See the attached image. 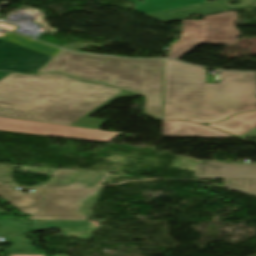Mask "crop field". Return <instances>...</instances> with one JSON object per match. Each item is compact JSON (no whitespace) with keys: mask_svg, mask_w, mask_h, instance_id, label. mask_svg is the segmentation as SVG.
I'll return each instance as SVG.
<instances>
[{"mask_svg":"<svg viewBox=\"0 0 256 256\" xmlns=\"http://www.w3.org/2000/svg\"><path fill=\"white\" fill-rule=\"evenodd\" d=\"M256 110V73L221 72L206 84V69L167 60L165 118L211 123Z\"/></svg>","mask_w":256,"mask_h":256,"instance_id":"crop-field-2","label":"crop field"},{"mask_svg":"<svg viewBox=\"0 0 256 256\" xmlns=\"http://www.w3.org/2000/svg\"><path fill=\"white\" fill-rule=\"evenodd\" d=\"M207 125L225 130L241 138H256V112L236 115L226 121Z\"/></svg>","mask_w":256,"mask_h":256,"instance_id":"crop-field-12","label":"crop field"},{"mask_svg":"<svg viewBox=\"0 0 256 256\" xmlns=\"http://www.w3.org/2000/svg\"><path fill=\"white\" fill-rule=\"evenodd\" d=\"M60 49L8 32L0 38V70L37 72Z\"/></svg>","mask_w":256,"mask_h":256,"instance_id":"crop-field-6","label":"crop field"},{"mask_svg":"<svg viewBox=\"0 0 256 256\" xmlns=\"http://www.w3.org/2000/svg\"><path fill=\"white\" fill-rule=\"evenodd\" d=\"M10 256H43V255H23V254H9Z\"/></svg>","mask_w":256,"mask_h":256,"instance_id":"crop-field-18","label":"crop field"},{"mask_svg":"<svg viewBox=\"0 0 256 256\" xmlns=\"http://www.w3.org/2000/svg\"><path fill=\"white\" fill-rule=\"evenodd\" d=\"M8 74L10 73H7V72H0V80L4 77H6Z\"/></svg>","mask_w":256,"mask_h":256,"instance_id":"crop-field-19","label":"crop field"},{"mask_svg":"<svg viewBox=\"0 0 256 256\" xmlns=\"http://www.w3.org/2000/svg\"><path fill=\"white\" fill-rule=\"evenodd\" d=\"M236 13H224L204 17V20H187L182 23V36L171 46L170 58L178 59L199 44L234 45L241 35L233 21Z\"/></svg>","mask_w":256,"mask_h":256,"instance_id":"crop-field-5","label":"crop field"},{"mask_svg":"<svg viewBox=\"0 0 256 256\" xmlns=\"http://www.w3.org/2000/svg\"><path fill=\"white\" fill-rule=\"evenodd\" d=\"M136 96L62 74L11 73L0 81V116L99 129L89 116L117 98Z\"/></svg>","mask_w":256,"mask_h":256,"instance_id":"crop-field-1","label":"crop field"},{"mask_svg":"<svg viewBox=\"0 0 256 256\" xmlns=\"http://www.w3.org/2000/svg\"><path fill=\"white\" fill-rule=\"evenodd\" d=\"M32 232L44 229H61L64 235L73 237H90L92 232L97 230V225L89 221L74 220H30ZM90 227H93L91 229Z\"/></svg>","mask_w":256,"mask_h":256,"instance_id":"crop-field-11","label":"crop field"},{"mask_svg":"<svg viewBox=\"0 0 256 256\" xmlns=\"http://www.w3.org/2000/svg\"><path fill=\"white\" fill-rule=\"evenodd\" d=\"M4 239L7 241L0 242V244L11 242L13 245L9 249L0 248V250H4L7 253L37 254L35 248L31 247L32 242L27 240L25 233L6 237Z\"/></svg>","mask_w":256,"mask_h":256,"instance_id":"crop-field-14","label":"crop field"},{"mask_svg":"<svg viewBox=\"0 0 256 256\" xmlns=\"http://www.w3.org/2000/svg\"><path fill=\"white\" fill-rule=\"evenodd\" d=\"M162 137L237 138L190 121L163 120Z\"/></svg>","mask_w":256,"mask_h":256,"instance_id":"crop-field-10","label":"crop field"},{"mask_svg":"<svg viewBox=\"0 0 256 256\" xmlns=\"http://www.w3.org/2000/svg\"><path fill=\"white\" fill-rule=\"evenodd\" d=\"M56 256H68V255H56Z\"/></svg>","mask_w":256,"mask_h":256,"instance_id":"crop-field-21","label":"crop field"},{"mask_svg":"<svg viewBox=\"0 0 256 256\" xmlns=\"http://www.w3.org/2000/svg\"><path fill=\"white\" fill-rule=\"evenodd\" d=\"M163 59L130 60L63 51L40 73L62 72L147 96L146 114L161 118Z\"/></svg>","mask_w":256,"mask_h":256,"instance_id":"crop-field-3","label":"crop field"},{"mask_svg":"<svg viewBox=\"0 0 256 256\" xmlns=\"http://www.w3.org/2000/svg\"><path fill=\"white\" fill-rule=\"evenodd\" d=\"M128 1L136 4L134 7L135 10L141 13H150L207 2L206 0H143L145 3L137 0Z\"/></svg>","mask_w":256,"mask_h":256,"instance_id":"crop-field-13","label":"crop field"},{"mask_svg":"<svg viewBox=\"0 0 256 256\" xmlns=\"http://www.w3.org/2000/svg\"><path fill=\"white\" fill-rule=\"evenodd\" d=\"M105 175H107V174L75 171L74 173H72L69 177H67L62 182H65V183H71V182L86 183V184H88L87 186L92 187L99 180H101Z\"/></svg>","mask_w":256,"mask_h":256,"instance_id":"crop-field-15","label":"crop field"},{"mask_svg":"<svg viewBox=\"0 0 256 256\" xmlns=\"http://www.w3.org/2000/svg\"><path fill=\"white\" fill-rule=\"evenodd\" d=\"M97 188H38L34 196L0 189V196L25 214H36L27 219L86 220L77 212L78 200Z\"/></svg>","mask_w":256,"mask_h":256,"instance_id":"crop-field-4","label":"crop field"},{"mask_svg":"<svg viewBox=\"0 0 256 256\" xmlns=\"http://www.w3.org/2000/svg\"><path fill=\"white\" fill-rule=\"evenodd\" d=\"M196 177L212 179H256V164H222L204 161L197 164Z\"/></svg>","mask_w":256,"mask_h":256,"instance_id":"crop-field-9","label":"crop field"},{"mask_svg":"<svg viewBox=\"0 0 256 256\" xmlns=\"http://www.w3.org/2000/svg\"><path fill=\"white\" fill-rule=\"evenodd\" d=\"M0 187H12L10 185H3L2 183H0Z\"/></svg>","mask_w":256,"mask_h":256,"instance_id":"crop-field-20","label":"crop field"},{"mask_svg":"<svg viewBox=\"0 0 256 256\" xmlns=\"http://www.w3.org/2000/svg\"><path fill=\"white\" fill-rule=\"evenodd\" d=\"M224 187L256 195V180H224Z\"/></svg>","mask_w":256,"mask_h":256,"instance_id":"crop-field-17","label":"crop field"},{"mask_svg":"<svg viewBox=\"0 0 256 256\" xmlns=\"http://www.w3.org/2000/svg\"><path fill=\"white\" fill-rule=\"evenodd\" d=\"M239 1L242 5L230 7L227 3ZM256 3V0H224L214 3H205L167 11L146 14L145 16L152 19L167 22L178 19L187 18L190 14H197L199 16L217 13L221 11L249 7L250 4Z\"/></svg>","mask_w":256,"mask_h":256,"instance_id":"crop-field-8","label":"crop field"},{"mask_svg":"<svg viewBox=\"0 0 256 256\" xmlns=\"http://www.w3.org/2000/svg\"><path fill=\"white\" fill-rule=\"evenodd\" d=\"M29 230V224L19 220H0V236Z\"/></svg>","mask_w":256,"mask_h":256,"instance_id":"crop-field-16","label":"crop field"},{"mask_svg":"<svg viewBox=\"0 0 256 256\" xmlns=\"http://www.w3.org/2000/svg\"><path fill=\"white\" fill-rule=\"evenodd\" d=\"M0 130L107 142L118 132L55 125L0 117Z\"/></svg>","mask_w":256,"mask_h":256,"instance_id":"crop-field-7","label":"crop field"}]
</instances>
